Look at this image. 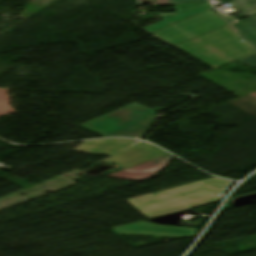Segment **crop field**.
Instances as JSON below:
<instances>
[{
  "label": "crop field",
  "instance_id": "34b2d1b8",
  "mask_svg": "<svg viewBox=\"0 0 256 256\" xmlns=\"http://www.w3.org/2000/svg\"><path fill=\"white\" fill-rule=\"evenodd\" d=\"M226 24L228 23L210 10L151 35L171 46H175L189 39L211 32Z\"/></svg>",
  "mask_w": 256,
  "mask_h": 256
},
{
  "label": "crop field",
  "instance_id": "dd49c442",
  "mask_svg": "<svg viewBox=\"0 0 256 256\" xmlns=\"http://www.w3.org/2000/svg\"><path fill=\"white\" fill-rule=\"evenodd\" d=\"M172 156L167 155L144 164L114 173L112 175L106 176L107 178H119V179H131V180H143L149 181L153 178L159 171H161Z\"/></svg>",
  "mask_w": 256,
  "mask_h": 256
},
{
  "label": "crop field",
  "instance_id": "3316defc",
  "mask_svg": "<svg viewBox=\"0 0 256 256\" xmlns=\"http://www.w3.org/2000/svg\"><path fill=\"white\" fill-rule=\"evenodd\" d=\"M229 9L237 8L243 18L256 13V0H232Z\"/></svg>",
  "mask_w": 256,
  "mask_h": 256
},
{
  "label": "crop field",
  "instance_id": "d1516ede",
  "mask_svg": "<svg viewBox=\"0 0 256 256\" xmlns=\"http://www.w3.org/2000/svg\"><path fill=\"white\" fill-rule=\"evenodd\" d=\"M171 4H179V3H186V2H192V3H200V2H208L209 0H169Z\"/></svg>",
  "mask_w": 256,
  "mask_h": 256
},
{
  "label": "crop field",
  "instance_id": "d8731c3e",
  "mask_svg": "<svg viewBox=\"0 0 256 256\" xmlns=\"http://www.w3.org/2000/svg\"><path fill=\"white\" fill-rule=\"evenodd\" d=\"M229 26L256 51V14Z\"/></svg>",
  "mask_w": 256,
  "mask_h": 256
},
{
  "label": "crop field",
  "instance_id": "5a996713",
  "mask_svg": "<svg viewBox=\"0 0 256 256\" xmlns=\"http://www.w3.org/2000/svg\"><path fill=\"white\" fill-rule=\"evenodd\" d=\"M176 15H167L160 16L164 21H173V20H186L195 15L193 4H180L175 5ZM157 23L155 25L149 26L142 29L143 31L151 34L157 30H160L168 25L164 22Z\"/></svg>",
  "mask_w": 256,
  "mask_h": 256
},
{
  "label": "crop field",
  "instance_id": "f4fd0767",
  "mask_svg": "<svg viewBox=\"0 0 256 256\" xmlns=\"http://www.w3.org/2000/svg\"><path fill=\"white\" fill-rule=\"evenodd\" d=\"M114 230L119 234L153 237H189L197 233V229L160 226L144 221L114 228Z\"/></svg>",
  "mask_w": 256,
  "mask_h": 256
},
{
  "label": "crop field",
  "instance_id": "e52e79f7",
  "mask_svg": "<svg viewBox=\"0 0 256 256\" xmlns=\"http://www.w3.org/2000/svg\"><path fill=\"white\" fill-rule=\"evenodd\" d=\"M134 142L136 141L127 139L89 141L84 142L75 151L87 154L111 156L133 144Z\"/></svg>",
  "mask_w": 256,
  "mask_h": 256
},
{
  "label": "crop field",
  "instance_id": "28ad6ade",
  "mask_svg": "<svg viewBox=\"0 0 256 256\" xmlns=\"http://www.w3.org/2000/svg\"><path fill=\"white\" fill-rule=\"evenodd\" d=\"M238 61H240V62H242V63H244V64H246V65H248L252 68H255L256 67V53L253 54V55H250L248 57H245L243 59H240Z\"/></svg>",
  "mask_w": 256,
  "mask_h": 256
},
{
  "label": "crop field",
  "instance_id": "8a807250",
  "mask_svg": "<svg viewBox=\"0 0 256 256\" xmlns=\"http://www.w3.org/2000/svg\"><path fill=\"white\" fill-rule=\"evenodd\" d=\"M228 26L175 46L184 53L214 67L227 65L255 53Z\"/></svg>",
  "mask_w": 256,
  "mask_h": 256
},
{
  "label": "crop field",
  "instance_id": "ac0d7876",
  "mask_svg": "<svg viewBox=\"0 0 256 256\" xmlns=\"http://www.w3.org/2000/svg\"><path fill=\"white\" fill-rule=\"evenodd\" d=\"M156 116L154 111L133 103L79 126L105 137L124 136L142 139Z\"/></svg>",
  "mask_w": 256,
  "mask_h": 256
},
{
  "label": "crop field",
  "instance_id": "22f410ed",
  "mask_svg": "<svg viewBox=\"0 0 256 256\" xmlns=\"http://www.w3.org/2000/svg\"><path fill=\"white\" fill-rule=\"evenodd\" d=\"M219 16H221L225 21H227L229 24L235 22L234 20L230 19L229 17L223 15V14H220Z\"/></svg>",
  "mask_w": 256,
  "mask_h": 256
},
{
  "label": "crop field",
  "instance_id": "412701ff",
  "mask_svg": "<svg viewBox=\"0 0 256 256\" xmlns=\"http://www.w3.org/2000/svg\"><path fill=\"white\" fill-rule=\"evenodd\" d=\"M167 154L169 153L154 145L146 142H140L119 155L102 162L107 164L114 163L120 166L123 170Z\"/></svg>",
  "mask_w": 256,
  "mask_h": 256
}]
</instances>
